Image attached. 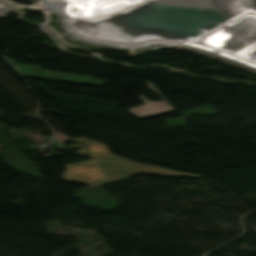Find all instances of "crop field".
<instances>
[{"label": "crop field", "instance_id": "obj_1", "mask_svg": "<svg viewBox=\"0 0 256 256\" xmlns=\"http://www.w3.org/2000/svg\"><path fill=\"white\" fill-rule=\"evenodd\" d=\"M6 60L10 64H12L23 76L38 77V78L51 79V80L64 81V82L92 84V85H103L104 83V81L95 80L93 77H89V76L44 71V70H39L37 66L19 65L9 58H6Z\"/></svg>", "mask_w": 256, "mask_h": 256}, {"label": "crop field", "instance_id": "obj_2", "mask_svg": "<svg viewBox=\"0 0 256 256\" xmlns=\"http://www.w3.org/2000/svg\"><path fill=\"white\" fill-rule=\"evenodd\" d=\"M149 89L155 92L162 101L159 102H150L147 98L143 95H140L139 98L144 102L143 105L137 106L134 108L128 109V111L133 114L134 116L143 119L147 117H151L154 115L166 113L169 111H173V107L167 101L165 97H163L153 86L150 82H145Z\"/></svg>", "mask_w": 256, "mask_h": 256}]
</instances>
